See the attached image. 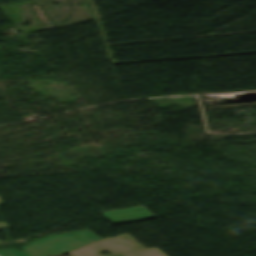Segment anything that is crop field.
<instances>
[{"label":"crop field","mask_w":256,"mask_h":256,"mask_svg":"<svg viewBox=\"0 0 256 256\" xmlns=\"http://www.w3.org/2000/svg\"><path fill=\"white\" fill-rule=\"evenodd\" d=\"M105 217H107L112 223H120L141 219L154 218L144 206H137L128 209L101 212Z\"/></svg>","instance_id":"3"},{"label":"crop field","mask_w":256,"mask_h":256,"mask_svg":"<svg viewBox=\"0 0 256 256\" xmlns=\"http://www.w3.org/2000/svg\"><path fill=\"white\" fill-rule=\"evenodd\" d=\"M143 248L128 233L108 239H102L96 243L69 252V256H97L102 251L111 254Z\"/></svg>","instance_id":"2"},{"label":"crop field","mask_w":256,"mask_h":256,"mask_svg":"<svg viewBox=\"0 0 256 256\" xmlns=\"http://www.w3.org/2000/svg\"><path fill=\"white\" fill-rule=\"evenodd\" d=\"M100 239L91 230L85 229L42 237L21 249L32 256H58Z\"/></svg>","instance_id":"1"},{"label":"crop field","mask_w":256,"mask_h":256,"mask_svg":"<svg viewBox=\"0 0 256 256\" xmlns=\"http://www.w3.org/2000/svg\"><path fill=\"white\" fill-rule=\"evenodd\" d=\"M0 204H3L1 199H0ZM9 228L4 222H0V229H7Z\"/></svg>","instance_id":"6"},{"label":"crop field","mask_w":256,"mask_h":256,"mask_svg":"<svg viewBox=\"0 0 256 256\" xmlns=\"http://www.w3.org/2000/svg\"><path fill=\"white\" fill-rule=\"evenodd\" d=\"M0 256H29V255L17 249L5 248V249H0Z\"/></svg>","instance_id":"5"},{"label":"crop field","mask_w":256,"mask_h":256,"mask_svg":"<svg viewBox=\"0 0 256 256\" xmlns=\"http://www.w3.org/2000/svg\"><path fill=\"white\" fill-rule=\"evenodd\" d=\"M156 248L124 252V253L110 255V256H166Z\"/></svg>","instance_id":"4"}]
</instances>
